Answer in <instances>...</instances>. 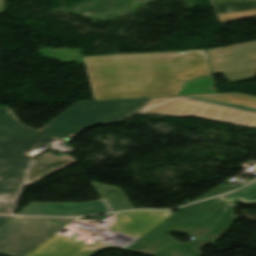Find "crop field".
<instances>
[{
    "label": "crop field",
    "instance_id": "5",
    "mask_svg": "<svg viewBox=\"0 0 256 256\" xmlns=\"http://www.w3.org/2000/svg\"><path fill=\"white\" fill-rule=\"evenodd\" d=\"M49 220L63 221L59 225ZM72 218L13 217L0 228V255L26 256Z\"/></svg>",
    "mask_w": 256,
    "mask_h": 256
},
{
    "label": "crop field",
    "instance_id": "10",
    "mask_svg": "<svg viewBox=\"0 0 256 256\" xmlns=\"http://www.w3.org/2000/svg\"><path fill=\"white\" fill-rule=\"evenodd\" d=\"M75 162L77 161L66 155L58 157L49 153L42 154L35 158L24 186L49 176Z\"/></svg>",
    "mask_w": 256,
    "mask_h": 256
},
{
    "label": "crop field",
    "instance_id": "15",
    "mask_svg": "<svg viewBox=\"0 0 256 256\" xmlns=\"http://www.w3.org/2000/svg\"><path fill=\"white\" fill-rule=\"evenodd\" d=\"M5 6H4V0H0V13L4 12Z\"/></svg>",
    "mask_w": 256,
    "mask_h": 256
},
{
    "label": "crop field",
    "instance_id": "7",
    "mask_svg": "<svg viewBox=\"0 0 256 256\" xmlns=\"http://www.w3.org/2000/svg\"><path fill=\"white\" fill-rule=\"evenodd\" d=\"M214 75L231 83L256 78V41L219 50H207Z\"/></svg>",
    "mask_w": 256,
    "mask_h": 256
},
{
    "label": "crop field",
    "instance_id": "8",
    "mask_svg": "<svg viewBox=\"0 0 256 256\" xmlns=\"http://www.w3.org/2000/svg\"><path fill=\"white\" fill-rule=\"evenodd\" d=\"M172 214L170 211L125 212L118 215L116 224L110 229L141 238Z\"/></svg>",
    "mask_w": 256,
    "mask_h": 256
},
{
    "label": "crop field",
    "instance_id": "9",
    "mask_svg": "<svg viewBox=\"0 0 256 256\" xmlns=\"http://www.w3.org/2000/svg\"><path fill=\"white\" fill-rule=\"evenodd\" d=\"M109 247L100 243L85 246L70 237L55 234L27 256H92L99 249Z\"/></svg>",
    "mask_w": 256,
    "mask_h": 256
},
{
    "label": "crop field",
    "instance_id": "13",
    "mask_svg": "<svg viewBox=\"0 0 256 256\" xmlns=\"http://www.w3.org/2000/svg\"><path fill=\"white\" fill-rule=\"evenodd\" d=\"M234 189H236V188L233 187V186L228 188V187H226L224 185H220V186L216 187L215 189L209 191L208 193L204 194L203 196L199 197L196 200H200V199L216 196V195H219V194H223V193H225L227 191L234 190ZM196 200H194V201H196Z\"/></svg>",
    "mask_w": 256,
    "mask_h": 256
},
{
    "label": "crop field",
    "instance_id": "14",
    "mask_svg": "<svg viewBox=\"0 0 256 256\" xmlns=\"http://www.w3.org/2000/svg\"><path fill=\"white\" fill-rule=\"evenodd\" d=\"M12 217H0V227H2Z\"/></svg>",
    "mask_w": 256,
    "mask_h": 256
},
{
    "label": "crop field",
    "instance_id": "2",
    "mask_svg": "<svg viewBox=\"0 0 256 256\" xmlns=\"http://www.w3.org/2000/svg\"><path fill=\"white\" fill-rule=\"evenodd\" d=\"M84 59L95 100L177 95L183 81L211 74L205 50Z\"/></svg>",
    "mask_w": 256,
    "mask_h": 256
},
{
    "label": "crop field",
    "instance_id": "12",
    "mask_svg": "<svg viewBox=\"0 0 256 256\" xmlns=\"http://www.w3.org/2000/svg\"><path fill=\"white\" fill-rule=\"evenodd\" d=\"M225 199L231 202L238 199L239 201L246 204L256 203V184Z\"/></svg>",
    "mask_w": 256,
    "mask_h": 256
},
{
    "label": "crop field",
    "instance_id": "3",
    "mask_svg": "<svg viewBox=\"0 0 256 256\" xmlns=\"http://www.w3.org/2000/svg\"><path fill=\"white\" fill-rule=\"evenodd\" d=\"M229 195L181 208L138 240L127 251L149 256H191L194 252L193 246L200 242L220 222L225 212H228L220 225L195 246L196 253L193 256H202L203 254L198 249L216 242L236 222L234 212L232 213L235 205L223 199ZM174 231L183 232L197 238L189 243H178L168 236Z\"/></svg>",
    "mask_w": 256,
    "mask_h": 256
},
{
    "label": "crop field",
    "instance_id": "11",
    "mask_svg": "<svg viewBox=\"0 0 256 256\" xmlns=\"http://www.w3.org/2000/svg\"><path fill=\"white\" fill-rule=\"evenodd\" d=\"M222 21L256 16V0H212Z\"/></svg>",
    "mask_w": 256,
    "mask_h": 256
},
{
    "label": "crop field",
    "instance_id": "4",
    "mask_svg": "<svg viewBox=\"0 0 256 256\" xmlns=\"http://www.w3.org/2000/svg\"><path fill=\"white\" fill-rule=\"evenodd\" d=\"M139 112L196 116L256 128V97L237 93L155 98Z\"/></svg>",
    "mask_w": 256,
    "mask_h": 256
},
{
    "label": "crop field",
    "instance_id": "6",
    "mask_svg": "<svg viewBox=\"0 0 256 256\" xmlns=\"http://www.w3.org/2000/svg\"><path fill=\"white\" fill-rule=\"evenodd\" d=\"M91 183L103 200L78 204L30 203L18 214L84 216L133 209L120 188Z\"/></svg>",
    "mask_w": 256,
    "mask_h": 256
},
{
    "label": "crop field",
    "instance_id": "1",
    "mask_svg": "<svg viewBox=\"0 0 256 256\" xmlns=\"http://www.w3.org/2000/svg\"><path fill=\"white\" fill-rule=\"evenodd\" d=\"M153 99L76 103L42 129L20 124L9 107H0V214H11L30 164L28 152L89 127L119 123Z\"/></svg>",
    "mask_w": 256,
    "mask_h": 256
}]
</instances>
